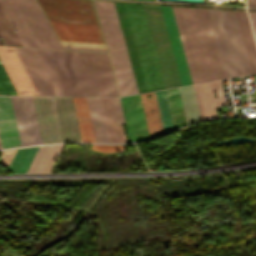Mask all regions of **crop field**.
<instances>
[{"instance_id": "8a807250", "label": "crop field", "mask_w": 256, "mask_h": 256, "mask_svg": "<svg viewBox=\"0 0 256 256\" xmlns=\"http://www.w3.org/2000/svg\"><path fill=\"white\" fill-rule=\"evenodd\" d=\"M172 8L192 83L225 78L207 10Z\"/></svg>"}, {"instance_id": "d1516ede", "label": "crop field", "mask_w": 256, "mask_h": 256, "mask_svg": "<svg viewBox=\"0 0 256 256\" xmlns=\"http://www.w3.org/2000/svg\"><path fill=\"white\" fill-rule=\"evenodd\" d=\"M0 141L2 148L21 146L10 97H0Z\"/></svg>"}, {"instance_id": "d3111659", "label": "crop field", "mask_w": 256, "mask_h": 256, "mask_svg": "<svg viewBox=\"0 0 256 256\" xmlns=\"http://www.w3.org/2000/svg\"><path fill=\"white\" fill-rule=\"evenodd\" d=\"M64 49L106 52L105 50H99V49H87V48H75V47H64Z\"/></svg>"}, {"instance_id": "733c2abd", "label": "crop field", "mask_w": 256, "mask_h": 256, "mask_svg": "<svg viewBox=\"0 0 256 256\" xmlns=\"http://www.w3.org/2000/svg\"><path fill=\"white\" fill-rule=\"evenodd\" d=\"M184 108L186 122L200 120V113L193 85L179 88Z\"/></svg>"}, {"instance_id": "a9b5d70f", "label": "crop field", "mask_w": 256, "mask_h": 256, "mask_svg": "<svg viewBox=\"0 0 256 256\" xmlns=\"http://www.w3.org/2000/svg\"><path fill=\"white\" fill-rule=\"evenodd\" d=\"M0 95H17L1 62H0Z\"/></svg>"}, {"instance_id": "eef30255", "label": "crop field", "mask_w": 256, "mask_h": 256, "mask_svg": "<svg viewBox=\"0 0 256 256\" xmlns=\"http://www.w3.org/2000/svg\"><path fill=\"white\" fill-rule=\"evenodd\" d=\"M15 151H16L15 149L2 151L0 163L8 166Z\"/></svg>"}, {"instance_id": "bd1437ed", "label": "crop field", "mask_w": 256, "mask_h": 256, "mask_svg": "<svg viewBox=\"0 0 256 256\" xmlns=\"http://www.w3.org/2000/svg\"><path fill=\"white\" fill-rule=\"evenodd\" d=\"M150 1H155V0H150Z\"/></svg>"}, {"instance_id": "28ad6ade", "label": "crop field", "mask_w": 256, "mask_h": 256, "mask_svg": "<svg viewBox=\"0 0 256 256\" xmlns=\"http://www.w3.org/2000/svg\"><path fill=\"white\" fill-rule=\"evenodd\" d=\"M161 7V11L163 14V18L165 21V25L167 28V32L169 35V39L171 42V46H172V50L174 53V57L176 60V64L178 67V71L180 74V78L182 81V85H190L191 83V79H190V75L188 72V68H187V64H186V60L184 57V53H183V49L181 46V42H180V38H179V34L177 31V27H176V23L174 20V16H173V12H172V8L171 7H165V6H160Z\"/></svg>"}, {"instance_id": "730fd06b", "label": "crop field", "mask_w": 256, "mask_h": 256, "mask_svg": "<svg viewBox=\"0 0 256 256\" xmlns=\"http://www.w3.org/2000/svg\"><path fill=\"white\" fill-rule=\"evenodd\" d=\"M117 124L124 123L119 98H111Z\"/></svg>"}, {"instance_id": "ae1a2a85", "label": "crop field", "mask_w": 256, "mask_h": 256, "mask_svg": "<svg viewBox=\"0 0 256 256\" xmlns=\"http://www.w3.org/2000/svg\"><path fill=\"white\" fill-rule=\"evenodd\" d=\"M248 12L250 14V18H251L255 38H256V12H254V11H248Z\"/></svg>"}, {"instance_id": "4a817a6b", "label": "crop field", "mask_w": 256, "mask_h": 256, "mask_svg": "<svg viewBox=\"0 0 256 256\" xmlns=\"http://www.w3.org/2000/svg\"><path fill=\"white\" fill-rule=\"evenodd\" d=\"M164 133L175 129L166 90L155 92Z\"/></svg>"}, {"instance_id": "00972430", "label": "crop field", "mask_w": 256, "mask_h": 256, "mask_svg": "<svg viewBox=\"0 0 256 256\" xmlns=\"http://www.w3.org/2000/svg\"><path fill=\"white\" fill-rule=\"evenodd\" d=\"M53 145L40 146L27 173H39Z\"/></svg>"}, {"instance_id": "f4fd0767", "label": "crop field", "mask_w": 256, "mask_h": 256, "mask_svg": "<svg viewBox=\"0 0 256 256\" xmlns=\"http://www.w3.org/2000/svg\"><path fill=\"white\" fill-rule=\"evenodd\" d=\"M42 143L81 142L71 97H32Z\"/></svg>"}, {"instance_id": "dd49c442", "label": "crop field", "mask_w": 256, "mask_h": 256, "mask_svg": "<svg viewBox=\"0 0 256 256\" xmlns=\"http://www.w3.org/2000/svg\"><path fill=\"white\" fill-rule=\"evenodd\" d=\"M93 2H94L97 18H98V21H99V24H100V27H101V31H102V34H103V37H104V40H105V43H106V46H107V49H108V53H109L111 62H112V66H113V70H114V74H115L119 94H120V96H123L124 94L125 95H127V94L128 95L136 94L138 92H137L136 84H135V81H134L133 73H132V70H131L130 62H129V59H128V55H127L126 47H125V44H124L123 36H122V33H121L120 25H119V22H118L117 14H116V11H115L114 3L113 2L102 1L103 6H104V10H105V13H106L107 21H108V24H109L110 32H111V35H112L113 43H114V46H115V50H116V53H117L118 61H119V64H120L121 72H122V75H123L124 83H125V86H126L127 94H126L125 86H124V83H123L122 75H121V72H120L119 64H118V61H117L116 53H115V50H114V46H113V43H112L111 35H110V32H109L108 24H107V21H106L105 13H104V10H103L102 2L99 1L100 6H101V10H102V13H103L104 21H105V24H106L107 32H108V35H109L110 43H111V46H112V50H113V53H114L115 61H116V64H117L118 72H119V75H120L121 83H122V86H123L124 94H123L122 86H121V83H120L119 75H118V72H117L116 64H115V61H114L113 53H112V50H111V46H110V43H109L108 35H107V32H106L105 24H104V21H103L102 13H101V10H100L99 2L98 1H93Z\"/></svg>"}, {"instance_id": "412701ff", "label": "crop field", "mask_w": 256, "mask_h": 256, "mask_svg": "<svg viewBox=\"0 0 256 256\" xmlns=\"http://www.w3.org/2000/svg\"><path fill=\"white\" fill-rule=\"evenodd\" d=\"M207 10L225 77L252 74L236 12Z\"/></svg>"}, {"instance_id": "dafd665d", "label": "crop field", "mask_w": 256, "mask_h": 256, "mask_svg": "<svg viewBox=\"0 0 256 256\" xmlns=\"http://www.w3.org/2000/svg\"><path fill=\"white\" fill-rule=\"evenodd\" d=\"M111 142H120L110 98H101Z\"/></svg>"}, {"instance_id": "3316defc", "label": "crop field", "mask_w": 256, "mask_h": 256, "mask_svg": "<svg viewBox=\"0 0 256 256\" xmlns=\"http://www.w3.org/2000/svg\"><path fill=\"white\" fill-rule=\"evenodd\" d=\"M129 141L148 138L139 94L120 98Z\"/></svg>"}, {"instance_id": "ac0d7876", "label": "crop field", "mask_w": 256, "mask_h": 256, "mask_svg": "<svg viewBox=\"0 0 256 256\" xmlns=\"http://www.w3.org/2000/svg\"><path fill=\"white\" fill-rule=\"evenodd\" d=\"M53 51L65 96H118L107 54Z\"/></svg>"}, {"instance_id": "d9b57169", "label": "crop field", "mask_w": 256, "mask_h": 256, "mask_svg": "<svg viewBox=\"0 0 256 256\" xmlns=\"http://www.w3.org/2000/svg\"><path fill=\"white\" fill-rule=\"evenodd\" d=\"M237 12L239 24L241 27L243 39L245 42L248 58L250 61L252 73H256V45L253 39L249 21L246 12Z\"/></svg>"}, {"instance_id": "1d83c4d3", "label": "crop field", "mask_w": 256, "mask_h": 256, "mask_svg": "<svg viewBox=\"0 0 256 256\" xmlns=\"http://www.w3.org/2000/svg\"><path fill=\"white\" fill-rule=\"evenodd\" d=\"M0 148H1V146H0Z\"/></svg>"}, {"instance_id": "4177f3b9", "label": "crop field", "mask_w": 256, "mask_h": 256, "mask_svg": "<svg viewBox=\"0 0 256 256\" xmlns=\"http://www.w3.org/2000/svg\"><path fill=\"white\" fill-rule=\"evenodd\" d=\"M62 145H54L41 172L40 173H49Z\"/></svg>"}, {"instance_id": "d8731c3e", "label": "crop field", "mask_w": 256, "mask_h": 256, "mask_svg": "<svg viewBox=\"0 0 256 256\" xmlns=\"http://www.w3.org/2000/svg\"><path fill=\"white\" fill-rule=\"evenodd\" d=\"M48 21L98 24L91 0H38Z\"/></svg>"}, {"instance_id": "bc2a9ffb", "label": "crop field", "mask_w": 256, "mask_h": 256, "mask_svg": "<svg viewBox=\"0 0 256 256\" xmlns=\"http://www.w3.org/2000/svg\"><path fill=\"white\" fill-rule=\"evenodd\" d=\"M38 147L18 149L8 170L15 173H26Z\"/></svg>"}, {"instance_id": "22f410ed", "label": "crop field", "mask_w": 256, "mask_h": 256, "mask_svg": "<svg viewBox=\"0 0 256 256\" xmlns=\"http://www.w3.org/2000/svg\"><path fill=\"white\" fill-rule=\"evenodd\" d=\"M194 87L202 119L217 117L215 100H218L219 105L225 104L220 81L197 84Z\"/></svg>"}, {"instance_id": "5a996713", "label": "crop field", "mask_w": 256, "mask_h": 256, "mask_svg": "<svg viewBox=\"0 0 256 256\" xmlns=\"http://www.w3.org/2000/svg\"><path fill=\"white\" fill-rule=\"evenodd\" d=\"M0 60L19 95H37L14 47L0 46Z\"/></svg>"}, {"instance_id": "92a150f3", "label": "crop field", "mask_w": 256, "mask_h": 256, "mask_svg": "<svg viewBox=\"0 0 256 256\" xmlns=\"http://www.w3.org/2000/svg\"><path fill=\"white\" fill-rule=\"evenodd\" d=\"M0 39L4 45L22 46L0 7Z\"/></svg>"}, {"instance_id": "cbeb9de0", "label": "crop field", "mask_w": 256, "mask_h": 256, "mask_svg": "<svg viewBox=\"0 0 256 256\" xmlns=\"http://www.w3.org/2000/svg\"><path fill=\"white\" fill-rule=\"evenodd\" d=\"M86 99L96 142H110L100 98Z\"/></svg>"}, {"instance_id": "5142ce71", "label": "crop field", "mask_w": 256, "mask_h": 256, "mask_svg": "<svg viewBox=\"0 0 256 256\" xmlns=\"http://www.w3.org/2000/svg\"><path fill=\"white\" fill-rule=\"evenodd\" d=\"M145 118L150 137L158 136L163 133L157 103L154 92L151 93L152 99H146L145 93L140 94Z\"/></svg>"}, {"instance_id": "214f88e0", "label": "crop field", "mask_w": 256, "mask_h": 256, "mask_svg": "<svg viewBox=\"0 0 256 256\" xmlns=\"http://www.w3.org/2000/svg\"><path fill=\"white\" fill-rule=\"evenodd\" d=\"M176 129L185 125V118L178 88L167 90Z\"/></svg>"}, {"instance_id": "750c4746", "label": "crop field", "mask_w": 256, "mask_h": 256, "mask_svg": "<svg viewBox=\"0 0 256 256\" xmlns=\"http://www.w3.org/2000/svg\"><path fill=\"white\" fill-rule=\"evenodd\" d=\"M0 45H3L1 41H0Z\"/></svg>"}, {"instance_id": "34b2d1b8", "label": "crop field", "mask_w": 256, "mask_h": 256, "mask_svg": "<svg viewBox=\"0 0 256 256\" xmlns=\"http://www.w3.org/2000/svg\"><path fill=\"white\" fill-rule=\"evenodd\" d=\"M23 46L62 49L36 0H0Z\"/></svg>"}, {"instance_id": "e52e79f7", "label": "crop field", "mask_w": 256, "mask_h": 256, "mask_svg": "<svg viewBox=\"0 0 256 256\" xmlns=\"http://www.w3.org/2000/svg\"><path fill=\"white\" fill-rule=\"evenodd\" d=\"M15 49L38 95L64 96L52 50Z\"/></svg>"}]
</instances>
